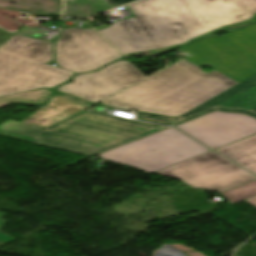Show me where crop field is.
<instances>
[{"mask_svg":"<svg viewBox=\"0 0 256 256\" xmlns=\"http://www.w3.org/2000/svg\"><path fill=\"white\" fill-rule=\"evenodd\" d=\"M240 0H140L129 4L136 17L99 32L124 54L138 48L184 41L241 20ZM232 5V6H231Z\"/></svg>","mask_w":256,"mask_h":256,"instance_id":"crop-field-1","label":"crop field"},{"mask_svg":"<svg viewBox=\"0 0 256 256\" xmlns=\"http://www.w3.org/2000/svg\"><path fill=\"white\" fill-rule=\"evenodd\" d=\"M236 84L215 70L204 73L198 66L180 60L106 103L176 117Z\"/></svg>","mask_w":256,"mask_h":256,"instance_id":"crop-field-2","label":"crop field"},{"mask_svg":"<svg viewBox=\"0 0 256 256\" xmlns=\"http://www.w3.org/2000/svg\"><path fill=\"white\" fill-rule=\"evenodd\" d=\"M164 126L136 122L99 112L82 111L50 128L8 120L1 131L34 138L38 144L87 156L146 136Z\"/></svg>","mask_w":256,"mask_h":256,"instance_id":"crop-field-3","label":"crop field"},{"mask_svg":"<svg viewBox=\"0 0 256 256\" xmlns=\"http://www.w3.org/2000/svg\"><path fill=\"white\" fill-rule=\"evenodd\" d=\"M53 43L14 34L0 47V96L40 87L53 88L73 73L46 64Z\"/></svg>","mask_w":256,"mask_h":256,"instance_id":"crop-field-4","label":"crop field"},{"mask_svg":"<svg viewBox=\"0 0 256 256\" xmlns=\"http://www.w3.org/2000/svg\"><path fill=\"white\" fill-rule=\"evenodd\" d=\"M228 32L177 51L186 59L213 68L239 83L256 73V24Z\"/></svg>","mask_w":256,"mask_h":256,"instance_id":"crop-field-5","label":"crop field"},{"mask_svg":"<svg viewBox=\"0 0 256 256\" xmlns=\"http://www.w3.org/2000/svg\"><path fill=\"white\" fill-rule=\"evenodd\" d=\"M208 151L211 150L170 128L102 153L100 158L152 173Z\"/></svg>","mask_w":256,"mask_h":256,"instance_id":"crop-field-6","label":"crop field"},{"mask_svg":"<svg viewBox=\"0 0 256 256\" xmlns=\"http://www.w3.org/2000/svg\"><path fill=\"white\" fill-rule=\"evenodd\" d=\"M232 163L211 151L155 173L182 180L193 188L216 192L256 178Z\"/></svg>","mask_w":256,"mask_h":256,"instance_id":"crop-field-7","label":"crop field"},{"mask_svg":"<svg viewBox=\"0 0 256 256\" xmlns=\"http://www.w3.org/2000/svg\"><path fill=\"white\" fill-rule=\"evenodd\" d=\"M120 57L111 45L91 29H65L56 43L58 65L75 73L98 69Z\"/></svg>","mask_w":256,"mask_h":256,"instance_id":"crop-field-8","label":"crop field"},{"mask_svg":"<svg viewBox=\"0 0 256 256\" xmlns=\"http://www.w3.org/2000/svg\"><path fill=\"white\" fill-rule=\"evenodd\" d=\"M212 149L256 134V119L247 115L214 112L176 126Z\"/></svg>","mask_w":256,"mask_h":256,"instance_id":"crop-field-9","label":"crop field"},{"mask_svg":"<svg viewBox=\"0 0 256 256\" xmlns=\"http://www.w3.org/2000/svg\"><path fill=\"white\" fill-rule=\"evenodd\" d=\"M216 109L225 111H240L256 117V74L210 99L180 118L170 119L147 113H139L138 119L175 125Z\"/></svg>","mask_w":256,"mask_h":256,"instance_id":"crop-field-10","label":"crop field"},{"mask_svg":"<svg viewBox=\"0 0 256 256\" xmlns=\"http://www.w3.org/2000/svg\"><path fill=\"white\" fill-rule=\"evenodd\" d=\"M143 79L126 63L62 90L91 103H97Z\"/></svg>","mask_w":256,"mask_h":256,"instance_id":"crop-field-11","label":"crop field"},{"mask_svg":"<svg viewBox=\"0 0 256 256\" xmlns=\"http://www.w3.org/2000/svg\"><path fill=\"white\" fill-rule=\"evenodd\" d=\"M86 108L88 107L55 94L46 105L40 107L38 112L24 120L23 123L49 127Z\"/></svg>","mask_w":256,"mask_h":256,"instance_id":"crop-field-12","label":"crop field"},{"mask_svg":"<svg viewBox=\"0 0 256 256\" xmlns=\"http://www.w3.org/2000/svg\"><path fill=\"white\" fill-rule=\"evenodd\" d=\"M233 7L240 14V16L243 18V20L238 21V22L233 23V24H230V25H227L225 27L219 28L217 30L208 32L206 34L197 36L195 38L189 39V40L184 41V42L161 45V46H154V47H148V48H142L141 50H143V51L151 50L154 55H157L161 52H164V51H167L169 49H172V48L181 46L183 44L189 43V42H191V41H193L197 38L209 36V35L213 34L214 32H216L218 30L226 29V28H230V27H235V26L246 25V24H249V23L256 22V0H242V1L234 4Z\"/></svg>","mask_w":256,"mask_h":256,"instance_id":"crop-field-13","label":"crop field"},{"mask_svg":"<svg viewBox=\"0 0 256 256\" xmlns=\"http://www.w3.org/2000/svg\"><path fill=\"white\" fill-rule=\"evenodd\" d=\"M216 150L256 173V135Z\"/></svg>","mask_w":256,"mask_h":256,"instance_id":"crop-field-14","label":"crop field"},{"mask_svg":"<svg viewBox=\"0 0 256 256\" xmlns=\"http://www.w3.org/2000/svg\"><path fill=\"white\" fill-rule=\"evenodd\" d=\"M51 95V92L44 89H36L22 93L0 97V107L12 102H27L32 104L44 103Z\"/></svg>","mask_w":256,"mask_h":256,"instance_id":"crop-field-15","label":"crop field"},{"mask_svg":"<svg viewBox=\"0 0 256 256\" xmlns=\"http://www.w3.org/2000/svg\"><path fill=\"white\" fill-rule=\"evenodd\" d=\"M220 194L228 198L231 204L235 203L242 199L256 195V181L233 188Z\"/></svg>","mask_w":256,"mask_h":256,"instance_id":"crop-field-16","label":"crop field"},{"mask_svg":"<svg viewBox=\"0 0 256 256\" xmlns=\"http://www.w3.org/2000/svg\"><path fill=\"white\" fill-rule=\"evenodd\" d=\"M124 62H126V61H123V60H120V61H118V62H115V63H113V64H111V65H108V66H106V67H104L103 69H101L100 71H98V72H94V73H88V74H83V75H79V76H77V77H74V79H73V81L72 82H70V83H68V84H66V85H64V86H62V87H59V88H57L56 90H58V91H60V90H62V89H64V88H67V87H69V86H71V85H74V84H76V83H78V82H80V81H83V80H85V79H87V78H90V77H92V76H94V75H97V74H99V73H101V72H104V71H106V70H108V69H110V68H113V67H115V66H117V65H120V64H122V63H124ZM129 66H131L137 73H139L142 77H144L145 78V76L143 75V74H141L135 67H133L129 62H126Z\"/></svg>","mask_w":256,"mask_h":256,"instance_id":"crop-field-17","label":"crop field"},{"mask_svg":"<svg viewBox=\"0 0 256 256\" xmlns=\"http://www.w3.org/2000/svg\"><path fill=\"white\" fill-rule=\"evenodd\" d=\"M3 216H5V214L0 213V219H1ZM3 224H4V221L0 220V230H1L2 226H3ZM14 239H15V238H12V237H9V236H7V235H4V234H1V233H0V241H2V242L8 243V242H10V241H12V240H14Z\"/></svg>","mask_w":256,"mask_h":256,"instance_id":"crop-field-18","label":"crop field"},{"mask_svg":"<svg viewBox=\"0 0 256 256\" xmlns=\"http://www.w3.org/2000/svg\"><path fill=\"white\" fill-rule=\"evenodd\" d=\"M57 94L62 95V96L66 97V98H69V99H71V100H74V101H76V102H79V103H81V104H83V105H86V106H88V107L94 105V104L88 103V102H86V101L80 100V99H78V98L72 97V96L67 95V94H64V93H57Z\"/></svg>","mask_w":256,"mask_h":256,"instance_id":"crop-field-19","label":"crop field"},{"mask_svg":"<svg viewBox=\"0 0 256 256\" xmlns=\"http://www.w3.org/2000/svg\"><path fill=\"white\" fill-rule=\"evenodd\" d=\"M245 201H247L249 204L253 205L256 207V196L245 199Z\"/></svg>","mask_w":256,"mask_h":256,"instance_id":"crop-field-20","label":"crop field"},{"mask_svg":"<svg viewBox=\"0 0 256 256\" xmlns=\"http://www.w3.org/2000/svg\"><path fill=\"white\" fill-rule=\"evenodd\" d=\"M129 1H132V0H115V2L118 3L119 5L129 2Z\"/></svg>","mask_w":256,"mask_h":256,"instance_id":"crop-field-21","label":"crop field"},{"mask_svg":"<svg viewBox=\"0 0 256 256\" xmlns=\"http://www.w3.org/2000/svg\"><path fill=\"white\" fill-rule=\"evenodd\" d=\"M110 1L113 2L117 6V4L114 2V0H110Z\"/></svg>","mask_w":256,"mask_h":256,"instance_id":"crop-field-22","label":"crop field"},{"mask_svg":"<svg viewBox=\"0 0 256 256\" xmlns=\"http://www.w3.org/2000/svg\"><path fill=\"white\" fill-rule=\"evenodd\" d=\"M169 128V127H168ZM168 128H166V129H168ZM165 130V129H164ZM162 131V130H161ZM158 132H160V131H158ZM157 133V132H156ZM154 134V133H153ZM152 135V134H151ZM149 136V135H148ZM141 139V138H140Z\"/></svg>","mask_w":256,"mask_h":256,"instance_id":"crop-field-23","label":"crop field"}]
</instances>
